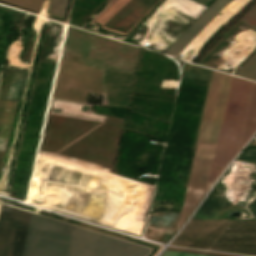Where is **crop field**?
Returning a JSON list of instances; mask_svg holds the SVG:
<instances>
[{
	"label": "crop field",
	"mask_w": 256,
	"mask_h": 256,
	"mask_svg": "<svg viewBox=\"0 0 256 256\" xmlns=\"http://www.w3.org/2000/svg\"><path fill=\"white\" fill-rule=\"evenodd\" d=\"M30 212L2 204L0 256H21ZM150 249L37 214L22 256H145Z\"/></svg>",
	"instance_id": "8a807250"
},
{
	"label": "crop field",
	"mask_w": 256,
	"mask_h": 256,
	"mask_svg": "<svg viewBox=\"0 0 256 256\" xmlns=\"http://www.w3.org/2000/svg\"><path fill=\"white\" fill-rule=\"evenodd\" d=\"M231 78L214 70L197 140L216 142ZM202 141L196 143L177 231L205 193L216 143Z\"/></svg>",
	"instance_id": "ac0d7876"
},
{
	"label": "crop field",
	"mask_w": 256,
	"mask_h": 256,
	"mask_svg": "<svg viewBox=\"0 0 256 256\" xmlns=\"http://www.w3.org/2000/svg\"><path fill=\"white\" fill-rule=\"evenodd\" d=\"M249 81L232 78L221 129L216 145L209 180L215 177L230 160L233 154L238 129L249 88ZM256 132V83L250 84L239 134L233 154L234 156Z\"/></svg>",
	"instance_id": "34b2d1b8"
},
{
	"label": "crop field",
	"mask_w": 256,
	"mask_h": 256,
	"mask_svg": "<svg viewBox=\"0 0 256 256\" xmlns=\"http://www.w3.org/2000/svg\"><path fill=\"white\" fill-rule=\"evenodd\" d=\"M185 228H225L223 231H181L170 245L256 255V220H190ZM223 230V229H183Z\"/></svg>",
	"instance_id": "412701ff"
},
{
	"label": "crop field",
	"mask_w": 256,
	"mask_h": 256,
	"mask_svg": "<svg viewBox=\"0 0 256 256\" xmlns=\"http://www.w3.org/2000/svg\"><path fill=\"white\" fill-rule=\"evenodd\" d=\"M230 0H217L165 53L175 56Z\"/></svg>",
	"instance_id": "f4fd0767"
},
{
	"label": "crop field",
	"mask_w": 256,
	"mask_h": 256,
	"mask_svg": "<svg viewBox=\"0 0 256 256\" xmlns=\"http://www.w3.org/2000/svg\"><path fill=\"white\" fill-rule=\"evenodd\" d=\"M248 26L256 29V4L240 19ZM256 81V53L254 56L236 73Z\"/></svg>",
	"instance_id": "dd49c442"
},
{
	"label": "crop field",
	"mask_w": 256,
	"mask_h": 256,
	"mask_svg": "<svg viewBox=\"0 0 256 256\" xmlns=\"http://www.w3.org/2000/svg\"><path fill=\"white\" fill-rule=\"evenodd\" d=\"M229 205L231 204L224 197L212 198L208 196L193 219L217 218L218 212Z\"/></svg>",
	"instance_id": "e52e79f7"
},
{
	"label": "crop field",
	"mask_w": 256,
	"mask_h": 256,
	"mask_svg": "<svg viewBox=\"0 0 256 256\" xmlns=\"http://www.w3.org/2000/svg\"><path fill=\"white\" fill-rule=\"evenodd\" d=\"M5 103H6L5 101L0 100V123H1L2 115H3ZM13 105L14 104L8 103V102L6 104V108H5V112H4V116H3V120H2V124H1V128H0V150L3 149V145H4V141H5V137H6V133H7V129H8L12 109H13Z\"/></svg>",
	"instance_id": "d8731c3e"
},
{
	"label": "crop field",
	"mask_w": 256,
	"mask_h": 256,
	"mask_svg": "<svg viewBox=\"0 0 256 256\" xmlns=\"http://www.w3.org/2000/svg\"><path fill=\"white\" fill-rule=\"evenodd\" d=\"M43 2L50 4L51 0H44ZM67 4L68 0H52L49 13L63 19Z\"/></svg>",
	"instance_id": "5a996713"
},
{
	"label": "crop field",
	"mask_w": 256,
	"mask_h": 256,
	"mask_svg": "<svg viewBox=\"0 0 256 256\" xmlns=\"http://www.w3.org/2000/svg\"><path fill=\"white\" fill-rule=\"evenodd\" d=\"M240 159H247L256 162V149H251L243 153Z\"/></svg>",
	"instance_id": "3316defc"
},
{
	"label": "crop field",
	"mask_w": 256,
	"mask_h": 256,
	"mask_svg": "<svg viewBox=\"0 0 256 256\" xmlns=\"http://www.w3.org/2000/svg\"><path fill=\"white\" fill-rule=\"evenodd\" d=\"M161 256H204V255H195V254L164 251Z\"/></svg>",
	"instance_id": "28ad6ade"
},
{
	"label": "crop field",
	"mask_w": 256,
	"mask_h": 256,
	"mask_svg": "<svg viewBox=\"0 0 256 256\" xmlns=\"http://www.w3.org/2000/svg\"><path fill=\"white\" fill-rule=\"evenodd\" d=\"M251 211L256 213V200L251 204Z\"/></svg>",
	"instance_id": "d1516ede"
}]
</instances>
